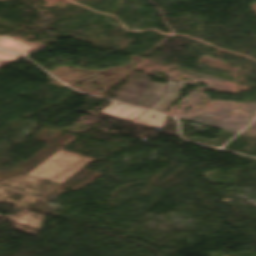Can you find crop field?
Listing matches in <instances>:
<instances>
[{
  "label": "crop field",
  "mask_w": 256,
  "mask_h": 256,
  "mask_svg": "<svg viewBox=\"0 0 256 256\" xmlns=\"http://www.w3.org/2000/svg\"><path fill=\"white\" fill-rule=\"evenodd\" d=\"M22 57H20V56H18L17 58H15L13 61H11V62H9V61H1L0 62V68L1 67H3V66H6V65H8V64H11V63H13V62H15V61H17V60H19V59H21ZM16 63V62H15Z\"/></svg>",
  "instance_id": "crop-field-6"
},
{
  "label": "crop field",
  "mask_w": 256,
  "mask_h": 256,
  "mask_svg": "<svg viewBox=\"0 0 256 256\" xmlns=\"http://www.w3.org/2000/svg\"><path fill=\"white\" fill-rule=\"evenodd\" d=\"M144 114L146 115L144 116ZM151 117H155V118L152 119ZM165 118H166L165 116L146 111L140 117H138L135 121H133V123L160 129Z\"/></svg>",
  "instance_id": "crop-field-2"
},
{
  "label": "crop field",
  "mask_w": 256,
  "mask_h": 256,
  "mask_svg": "<svg viewBox=\"0 0 256 256\" xmlns=\"http://www.w3.org/2000/svg\"><path fill=\"white\" fill-rule=\"evenodd\" d=\"M120 109V110H118ZM144 110L136 109L133 107L125 106L122 104L114 103L107 108H105L103 111H101L99 114H103L106 116L114 117L117 119L125 120L131 122L134 120L137 116H139Z\"/></svg>",
  "instance_id": "crop-field-1"
},
{
  "label": "crop field",
  "mask_w": 256,
  "mask_h": 256,
  "mask_svg": "<svg viewBox=\"0 0 256 256\" xmlns=\"http://www.w3.org/2000/svg\"><path fill=\"white\" fill-rule=\"evenodd\" d=\"M16 57V55L8 54L0 51V60H12Z\"/></svg>",
  "instance_id": "crop-field-5"
},
{
  "label": "crop field",
  "mask_w": 256,
  "mask_h": 256,
  "mask_svg": "<svg viewBox=\"0 0 256 256\" xmlns=\"http://www.w3.org/2000/svg\"><path fill=\"white\" fill-rule=\"evenodd\" d=\"M13 42H14V40L9 39L6 42H4L3 44H1L0 48H4L9 51L18 52V53H21L23 51H27L28 49H30V48L15 44Z\"/></svg>",
  "instance_id": "crop-field-3"
},
{
  "label": "crop field",
  "mask_w": 256,
  "mask_h": 256,
  "mask_svg": "<svg viewBox=\"0 0 256 256\" xmlns=\"http://www.w3.org/2000/svg\"><path fill=\"white\" fill-rule=\"evenodd\" d=\"M9 39L8 37H0V44Z\"/></svg>",
  "instance_id": "crop-field-7"
},
{
  "label": "crop field",
  "mask_w": 256,
  "mask_h": 256,
  "mask_svg": "<svg viewBox=\"0 0 256 256\" xmlns=\"http://www.w3.org/2000/svg\"><path fill=\"white\" fill-rule=\"evenodd\" d=\"M12 39H13V38H12ZM14 40H16V39H14ZM15 43H18V44H21V45H24V46H27V47L32 48V49L28 50L27 52L22 53V54H24V55H26V54L30 53L31 51H33V50H35V49L41 47V46H38V45H33V44H29V43H25V42L18 41V40H16Z\"/></svg>",
  "instance_id": "crop-field-4"
}]
</instances>
